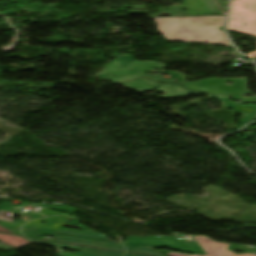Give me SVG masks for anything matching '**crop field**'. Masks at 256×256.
<instances>
[{
  "mask_svg": "<svg viewBox=\"0 0 256 256\" xmlns=\"http://www.w3.org/2000/svg\"><path fill=\"white\" fill-rule=\"evenodd\" d=\"M104 67L108 70L109 73L97 75L96 77L101 78L100 81L111 80L112 82L116 83V82H120L128 79L144 76L150 79L160 81L162 83L163 82L173 83L172 79L174 78H180L181 83L186 82L184 80V74L178 73V72L163 71V73L172 74L170 79H165L160 76L150 77L146 74V72H152L150 70H153L156 68L163 70L164 64H162V66H159V63L132 61V55L120 57L112 61L110 64L104 65ZM119 84L139 92L153 91L154 88L160 85L159 83L153 82L145 78L123 82Z\"/></svg>",
  "mask_w": 256,
  "mask_h": 256,
  "instance_id": "8a807250",
  "label": "crop field"
},
{
  "mask_svg": "<svg viewBox=\"0 0 256 256\" xmlns=\"http://www.w3.org/2000/svg\"><path fill=\"white\" fill-rule=\"evenodd\" d=\"M161 243L163 245H161ZM126 244L128 247H136V246H155V247H169L174 250L182 251V252H193L204 255L203 250L198 246V244L194 241V239L190 240H181L179 243L173 237H148V238H140V237H127Z\"/></svg>",
  "mask_w": 256,
  "mask_h": 256,
  "instance_id": "f4fd0767",
  "label": "crop field"
},
{
  "mask_svg": "<svg viewBox=\"0 0 256 256\" xmlns=\"http://www.w3.org/2000/svg\"><path fill=\"white\" fill-rule=\"evenodd\" d=\"M0 232L17 235V234H15V233H13V232H11V231H9V230H7V229L1 227V226H0Z\"/></svg>",
  "mask_w": 256,
  "mask_h": 256,
  "instance_id": "d1516ede",
  "label": "crop field"
},
{
  "mask_svg": "<svg viewBox=\"0 0 256 256\" xmlns=\"http://www.w3.org/2000/svg\"><path fill=\"white\" fill-rule=\"evenodd\" d=\"M48 240V239H47ZM54 240H56V241H60L59 239H57V238H55ZM61 242V241H60Z\"/></svg>",
  "mask_w": 256,
  "mask_h": 256,
  "instance_id": "cbeb9de0",
  "label": "crop field"
},
{
  "mask_svg": "<svg viewBox=\"0 0 256 256\" xmlns=\"http://www.w3.org/2000/svg\"><path fill=\"white\" fill-rule=\"evenodd\" d=\"M233 99L240 100L242 103H256V96L253 98L243 97L242 95L233 96Z\"/></svg>",
  "mask_w": 256,
  "mask_h": 256,
  "instance_id": "28ad6ade",
  "label": "crop field"
},
{
  "mask_svg": "<svg viewBox=\"0 0 256 256\" xmlns=\"http://www.w3.org/2000/svg\"><path fill=\"white\" fill-rule=\"evenodd\" d=\"M247 57L251 58H256V52L248 53L246 54Z\"/></svg>",
  "mask_w": 256,
  "mask_h": 256,
  "instance_id": "22f410ed",
  "label": "crop field"
},
{
  "mask_svg": "<svg viewBox=\"0 0 256 256\" xmlns=\"http://www.w3.org/2000/svg\"><path fill=\"white\" fill-rule=\"evenodd\" d=\"M154 19L156 24L159 25L158 30L167 38V41L222 44L231 47L223 31H220L219 28L192 30L187 27L188 22L186 23L183 20L167 18Z\"/></svg>",
  "mask_w": 256,
  "mask_h": 256,
  "instance_id": "ac0d7876",
  "label": "crop field"
},
{
  "mask_svg": "<svg viewBox=\"0 0 256 256\" xmlns=\"http://www.w3.org/2000/svg\"><path fill=\"white\" fill-rule=\"evenodd\" d=\"M232 82V86L226 83ZM189 89L210 92L214 94H243L250 93L246 88V78L235 79H205L202 81L183 83Z\"/></svg>",
  "mask_w": 256,
  "mask_h": 256,
  "instance_id": "412701ff",
  "label": "crop field"
},
{
  "mask_svg": "<svg viewBox=\"0 0 256 256\" xmlns=\"http://www.w3.org/2000/svg\"><path fill=\"white\" fill-rule=\"evenodd\" d=\"M183 19L189 22L188 26L193 29H202L210 27H223L225 16L214 17H191V18H174Z\"/></svg>",
  "mask_w": 256,
  "mask_h": 256,
  "instance_id": "d8731c3e",
  "label": "crop field"
},
{
  "mask_svg": "<svg viewBox=\"0 0 256 256\" xmlns=\"http://www.w3.org/2000/svg\"><path fill=\"white\" fill-rule=\"evenodd\" d=\"M210 98H217V100L222 104L223 109L227 110L228 108H231L235 111V113L242 116V119L240 121L241 124L247 123L250 120L254 119L256 117V106H241L237 105L230 100H228L231 96H214V95H208Z\"/></svg>",
  "mask_w": 256,
  "mask_h": 256,
  "instance_id": "e52e79f7",
  "label": "crop field"
},
{
  "mask_svg": "<svg viewBox=\"0 0 256 256\" xmlns=\"http://www.w3.org/2000/svg\"><path fill=\"white\" fill-rule=\"evenodd\" d=\"M231 8L227 29L256 37V0H233Z\"/></svg>",
  "mask_w": 256,
  "mask_h": 256,
  "instance_id": "34b2d1b8",
  "label": "crop field"
},
{
  "mask_svg": "<svg viewBox=\"0 0 256 256\" xmlns=\"http://www.w3.org/2000/svg\"><path fill=\"white\" fill-rule=\"evenodd\" d=\"M175 86V87H172ZM158 93H168L164 96H159V98H169V97H187L190 94H202L193 91H187L180 85L174 84H164L163 86L159 87L157 90Z\"/></svg>",
  "mask_w": 256,
  "mask_h": 256,
  "instance_id": "5a996713",
  "label": "crop field"
},
{
  "mask_svg": "<svg viewBox=\"0 0 256 256\" xmlns=\"http://www.w3.org/2000/svg\"><path fill=\"white\" fill-rule=\"evenodd\" d=\"M197 243L201 246V248L205 251L207 256H256L253 254H244V255H235L234 253L226 250L229 244L225 243H217L209 238L202 236V237H194ZM168 256H192L186 254H177V253H170ZM199 256V255H194Z\"/></svg>",
  "mask_w": 256,
  "mask_h": 256,
  "instance_id": "dd49c442",
  "label": "crop field"
},
{
  "mask_svg": "<svg viewBox=\"0 0 256 256\" xmlns=\"http://www.w3.org/2000/svg\"><path fill=\"white\" fill-rule=\"evenodd\" d=\"M0 240L14 248H20L23 245H27L29 243H32L22 237L17 236H9V235H1L0 234Z\"/></svg>",
  "mask_w": 256,
  "mask_h": 256,
  "instance_id": "3316defc",
  "label": "crop field"
}]
</instances>
